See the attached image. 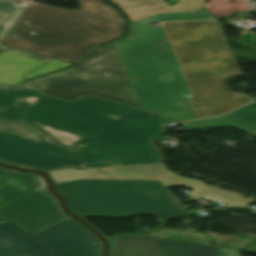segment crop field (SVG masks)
<instances>
[{"mask_svg": "<svg viewBox=\"0 0 256 256\" xmlns=\"http://www.w3.org/2000/svg\"><path fill=\"white\" fill-rule=\"evenodd\" d=\"M215 19L207 12L160 14L129 24L123 39L99 47L78 65L31 82L67 100L92 96L152 110L166 123L223 114L251 100L226 88L240 75L217 20L162 23L184 73L157 21Z\"/></svg>", "mask_w": 256, "mask_h": 256, "instance_id": "8a807250", "label": "crop field"}, {"mask_svg": "<svg viewBox=\"0 0 256 256\" xmlns=\"http://www.w3.org/2000/svg\"><path fill=\"white\" fill-rule=\"evenodd\" d=\"M165 131L156 113L85 96L65 101L32 85H0V161L83 169L163 163L153 144ZM63 148H66L64 150Z\"/></svg>", "mask_w": 256, "mask_h": 256, "instance_id": "ac0d7876", "label": "crop field"}, {"mask_svg": "<svg viewBox=\"0 0 256 256\" xmlns=\"http://www.w3.org/2000/svg\"><path fill=\"white\" fill-rule=\"evenodd\" d=\"M91 11H69L30 1L0 42L38 55L75 63L94 47L120 37L125 20L101 0Z\"/></svg>", "mask_w": 256, "mask_h": 256, "instance_id": "34b2d1b8", "label": "crop field"}, {"mask_svg": "<svg viewBox=\"0 0 256 256\" xmlns=\"http://www.w3.org/2000/svg\"><path fill=\"white\" fill-rule=\"evenodd\" d=\"M77 215L155 212L164 219L188 216L159 181L82 180L55 184Z\"/></svg>", "mask_w": 256, "mask_h": 256, "instance_id": "412701ff", "label": "crop field"}, {"mask_svg": "<svg viewBox=\"0 0 256 256\" xmlns=\"http://www.w3.org/2000/svg\"><path fill=\"white\" fill-rule=\"evenodd\" d=\"M0 256H101V244L71 218L32 236L7 222L0 224Z\"/></svg>", "mask_w": 256, "mask_h": 256, "instance_id": "f4fd0767", "label": "crop field"}, {"mask_svg": "<svg viewBox=\"0 0 256 256\" xmlns=\"http://www.w3.org/2000/svg\"><path fill=\"white\" fill-rule=\"evenodd\" d=\"M44 186L39 175L0 168V205ZM67 218L46 188L0 208V223L13 221L30 235Z\"/></svg>", "mask_w": 256, "mask_h": 256, "instance_id": "dd49c442", "label": "crop field"}, {"mask_svg": "<svg viewBox=\"0 0 256 256\" xmlns=\"http://www.w3.org/2000/svg\"><path fill=\"white\" fill-rule=\"evenodd\" d=\"M109 241L111 256H241V250L215 245L132 236H112Z\"/></svg>", "mask_w": 256, "mask_h": 256, "instance_id": "e52e79f7", "label": "crop field"}, {"mask_svg": "<svg viewBox=\"0 0 256 256\" xmlns=\"http://www.w3.org/2000/svg\"><path fill=\"white\" fill-rule=\"evenodd\" d=\"M47 173L55 183L68 182L76 179L159 180L165 188L176 186L187 179V177L171 172L163 164L91 170L62 168L48 171Z\"/></svg>", "mask_w": 256, "mask_h": 256, "instance_id": "d8731c3e", "label": "crop field"}, {"mask_svg": "<svg viewBox=\"0 0 256 256\" xmlns=\"http://www.w3.org/2000/svg\"><path fill=\"white\" fill-rule=\"evenodd\" d=\"M134 22L160 13L189 12L199 9L207 0H179L169 7L162 0H112Z\"/></svg>", "mask_w": 256, "mask_h": 256, "instance_id": "5a996713", "label": "crop field"}, {"mask_svg": "<svg viewBox=\"0 0 256 256\" xmlns=\"http://www.w3.org/2000/svg\"><path fill=\"white\" fill-rule=\"evenodd\" d=\"M49 61L46 58L0 45V83L16 84L21 75Z\"/></svg>", "mask_w": 256, "mask_h": 256, "instance_id": "3316defc", "label": "crop field"}, {"mask_svg": "<svg viewBox=\"0 0 256 256\" xmlns=\"http://www.w3.org/2000/svg\"><path fill=\"white\" fill-rule=\"evenodd\" d=\"M179 185L189 186L193 190L189 193V197L198 200L201 197H207L217 202L225 204L227 207L242 208L248 203L256 200V198L246 199L240 193L225 191L221 188L207 185L202 181L188 178Z\"/></svg>", "mask_w": 256, "mask_h": 256, "instance_id": "28ad6ade", "label": "crop field"}, {"mask_svg": "<svg viewBox=\"0 0 256 256\" xmlns=\"http://www.w3.org/2000/svg\"><path fill=\"white\" fill-rule=\"evenodd\" d=\"M132 236H141V237H149V238L168 239V240H177V241H187V242L218 245L214 241H212L210 238H208L206 235H204L203 233L175 230V229H167V228H163L156 232L136 234V235H132Z\"/></svg>", "mask_w": 256, "mask_h": 256, "instance_id": "d1516ede", "label": "crop field"}, {"mask_svg": "<svg viewBox=\"0 0 256 256\" xmlns=\"http://www.w3.org/2000/svg\"><path fill=\"white\" fill-rule=\"evenodd\" d=\"M222 117L235 120L242 125L256 128V101L240 107Z\"/></svg>", "mask_w": 256, "mask_h": 256, "instance_id": "22f410ed", "label": "crop field"}, {"mask_svg": "<svg viewBox=\"0 0 256 256\" xmlns=\"http://www.w3.org/2000/svg\"><path fill=\"white\" fill-rule=\"evenodd\" d=\"M15 0H0V37L21 11Z\"/></svg>", "mask_w": 256, "mask_h": 256, "instance_id": "cbeb9de0", "label": "crop field"}, {"mask_svg": "<svg viewBox=\"0 0 256 256\" xmlns=\"http://www.w3.org/2000/svg\"><path fill=\"white\" fill-rule=\"evenodd\" d=\"M72 64L69 63H65V62H61V61H57V60H53L41 67H39L38 69L30 72L29 74H27L26 76H24V78L26 80L31 79V78H35L47 73H51L60 69H64L68 66H70Z\"/></svg>", "mask_w": 256, "mask_h": 256, "instance_id": "5142ce71", "label": "crop field"}, {"mask_svg": "<svg viewBox=\"0 0 256 256\" xmlns=\"http://www.w3.org/2000/svg\"><path fill=\"white\" fill-rule=\"evenodd\" d=\"M239 235L242 236V237H245V238L252 239V240L249 241V242L247 243V245H246L243 249H241V250L256 253V237L248 236V235L242 234V233H240V232H239Z\"/></svg>", "mask_w": 256, "mask_h": 256, "instance_id": "d9b57169", "label": "crop field"}, {"mask_svg": "<svg viewBox=\"0 0 256 256\" xmlns=\"http://www.w3.org/2000/svg\"><path fill=\"white\" fill-rule=\"evenodd\" d=\"M83 5H84V10H90L88 2L83 3Z\"/></svg>", "mask_w": 256, "mask_h": 256, "instance_id": "733c2abd", "label": "crop field"}]
</instances>
